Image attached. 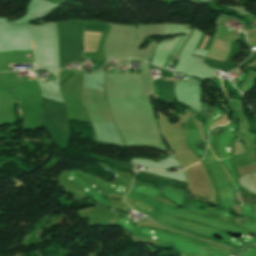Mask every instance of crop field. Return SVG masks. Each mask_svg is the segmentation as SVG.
Here are the masks:
<instances>
[{"label":"crop field","instance_id":"crop-field-1","mask_svg":"<svg viewBox=\"0 0 256 256\" xmlns=\"http://www.w3.org/2000/svg\"><path fill=\"white\" fill-rule=\"evenodd\" d=\"M103 27L86 24L85 32L101 34ZM100 36L84 34V53H96Z\"/></svg>","mask_w":256,"mask_h":256},{"label":"crop field","instance_id":"crop-field-2","mask_svg":"<svg viewBox=\"0 0 256 256\" xmlns=\"http://www.w3.org/2000/svg\"><path fill=\"white\" fill-rule=\"evenodd\" d=\"M204 36H205V35H204V34H202V36H201V40H200V42H199V44H198V46H197V49L199 48V46H200V44H201V42H202V40H203ZM206 39H207V36H205V38H204V40H203V43H202V45H201L200 49H202V48H203V46H204V44H205ZM211 42H212V39H211V38H208V40H207V42H206V44H205V46H204V48H203V49L208 50V49H209V46H210V44H211Z\"/></svg>","mask_w":256,"mask_h":256},{"label":"crop field","instance_id":"crop-field-3","mask_svg":"<svg viewBox=\"0 0 256 256\" xmlns=\"http://www.w3.org/2000/svg\"><path fill=\"white\" fill-rule=\"evenodd\" d=\"M164 80H173V79H164Z\"/></svg>","mask_w":256,"mask_h":256},{"label":"crop field","instance_id":"crop-field-4","mask_svg":"<svg viewBox=\"0 0 256 256\" xmlns=\"http://www.w3.org/2000/svg\"><path fill=\"white\" fill-rule=\"evenodd\" d=\"M33 44V43H32ZM33 48H34V45H33Z\"/></svg>","mask_w":256,"mask_h":256},{"label":"crop field","instance_id":"crop-field-5","mask_svg":"<svg viewBox=\"0 0 256 256\" xmlns=\"http://www.w3.org/2000/svg\"><path fill=\"white\" fill-rule=\"evenodd\" d=\"M20 111H21V109H20ZM21 113H22V111H21Z\"/></svg>","mask_w":256,"mask_h":256}]
</instances>
